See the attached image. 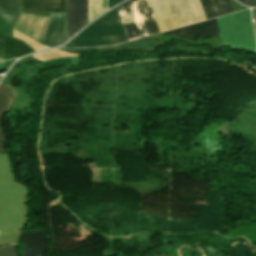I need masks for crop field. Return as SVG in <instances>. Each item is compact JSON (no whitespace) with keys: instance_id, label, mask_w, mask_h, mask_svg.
<instances>
[{"instance_id":"8a807250","label":"crop field","mask_w":256,"mask_h":256,"mask_svg":"<svg viewBox=\"0 0 256 256\" xmlns=\"http://www.w3.org/2000/svg\"><path fill=\"white\" fill-rule=\"evenodd\" d=\"M127 41L117 9L101 16L63 47H89Z\"/></svg>"},{"instance_id":"ac0d7876","label":"crop field","mask_w":256,"mask_h":256,"mask_svg":"<svg viewBox=\"0 0 256 256\" xmlns=\"http://www.w3.org/2000/svg\"><path fill=\"white\" fill-rule=\"evenodd\" d=\"M166 29L205 20L199 0H156ZM155 0H150L159 31H165Z\"/></svg>"},{"instance_id":"34b2d1b8","label":"crop field","mask_w":256,"mask_h":256,"mask_svg":"<svg viewBox=\"0 0 256 256\" xmlns=\"http://www.w3.org/2000/svg\"><path fill=\"white\" fill-rule=\"evenodd\" d=\"M217 20L222 45L256 53L249 9L218 17Z\"/></svg>"},{"instance_id":"412701ff","label":"crop field","mask_w":256,"mask_h":256,"mask_svg":"<svg viewBox=\"0 0 256 256\" xmlns=\"http://www.w3.org/2000/svg\"><path fill=\"white\" fill-rule=\"evenodd\" d=\"M117 9L128 39L159 32L148 0H130Z\"/></svg>"},{"instance_id":"f4fd0767","label":"crop field","mask_w":256,"mask_h":256,"mask_svg":"<svg viewBox=\"0 0 256 256\" xmlns=\"http://www.w3.org/2000/svg\"><path fill=\"white\" fill-rule=\"evenodd\" d=\"M48 19L49 17L29 15L20 12L14 29L29 36L40 44L46 32Z\"/></svg>"},{"instance_id":"dd49c442","label":"crop field","mask_w":256,"mask_h":256,"mask_svg":"<svg viewBox=\"0 0 256 256\" xmlns=\"http://www.w3.org/2000/svg\"><path fill=\"white\" fill-rule=\"evenodd\" d=\"M68 39L65 29V14L51 13L46 35L42 45L53 47Z\"/></svg>"},{"instance_id":"e52e79f7","label":"crop field","mask_w":256,"mask_h":256,"mask_svg":"<svg viewBox=\"0 0 256 256\" xmlns=\"http://www.w3.org/2000/svg\"><path fill=\"white\" fill-rule=\"evenodd\" d=\"M87 24V0H67V29L69 36Z\"/></svg>"},{"instance_id":"d8731c3e","label":"crop field","mask_w":256,"mask_h":256,"mask_svg":"<svg viewBox=\"0 0 256 256\" xmlns=\"http://www.w3.org/2000/svg\"><path fill=\"white\" fill-rule=\"evenodd\" d=\"M161 34L162 36L175 34L179 37H184L192 41H195V36L198 35H219L216 18L175 30L162 32Z\"/></svg>"},{"instance_id":"5a996713","label":"crop field","mask_w":256,"mask_h":256,"mask_svg":"<svg viewBox=\"0 0 256 256\" xmlns=\"http://www.w3.org/2000/svg\"><path fill=\"white\" fill-rule=\"evenodd\" d=\"M206 18H213L234 12L230 0H200Z\"/></svg>"},{"instance_id":"3316defc","label":"crop field","mask_w":256,"mask_h":256,"mask_svg":"<svg viewBox=\"0 0 256 256\" xmlns=\"http://www.w3.org/2000/svg\"><path fill=\"white\" fill-rule=\"evenodd\" d=\"M66 0H23L21 7L46 11V12H64Z\"/></svg>"},{"instance_id":"28ad6ade","label":"crop field","mask_w":256,"mask_h":256,"mask_svg":"<svg viewBox=\"0 0 256 256\" xmlns=\"http://www.w3.org/2000/svg\"><path fill=\"white\" fill-rule=\"evenodd\" d=\"M21 0H0V17L13 27L19 13Z\"/></svg>"},{"instance_id":"d1516ede","label":"crop field","mask_w":256,"mask_h":256,"mask_svg":"<svg viewBox=\"0 0 256 256\" xmlns=\"http://www.w3.org/2000/svg\"><path fill=\"white\" fill-rule=\"evenodd\" d=\"M15 98V91L12 87L0 84V115L9 110ZM4 137L0 128V153H4L2 143Z\"/></svg>"},{"instance_id":"22f410ed","label":"crop field","mask_w":256,"mask_h":256,"mask_svg":"<svg viewBox=\"0 0 256 256\" xmlns=\"http://www.w3.org/2000/svg\"><path fill=\"white\" fill-rule=\"evenodd\" d=\"M152 37L153 36L143 38V40L152 38ZM98 49L102 51H113V50H122V49H132V50L146 49V50L154 51L155 46L152 38L144 41L140 39V40H136V41H132V42L116 45V46L102 47Z\"/></svg>"},{"instance_id":"cbeb9de0","label":"crop field","mask_w":256,"mask_h":256,"mask_svg":"<svg viewBox=\"0 0 256 256\" xmlns=\"http://www.w3.org/2000/svg\"><path fill=\"white\" fill-rule=\"evenodd\" d=\"M105 10H107V0H88V22Z\"/></svg>"},{"instance_id":"5142ce71","label":"crop field","mask_w":256,"mask_h":256,"mask_svg":"<svg viewBox=\"0 0 256 256\" xmlns=\"http://www.w3.org/2000/svg\"><path fill=\"white\" fill-rule=\"evenodd\" d=\"M74 52L78 55H82L84 54L85 52L87 51H90V50H98L97 48H92V49H73Z\"/></svg>"},{"instance_id":"d9b57169","label":"crop field","mask_w":256,"mask_h":256,"mask_svg":"<svg viewBox=\"0 0 256 256\" xmlns=\"http://www.w3.org/2000/svg\"><path fill=\"white\" fill-rule=\"evenodd\" d=\"M239 1L246 5L256 6V0H239Z\"/></svg>"},{"instance_id":"733c2abd","label":"crop field","mask_w":256,"mask_h":256,"mask_svg":"<svg viewBox=\"0 0 256 256\" xmlns=\"http://www.w3.org/2000/svg\"><path fill=\"white\" fill-rule=\"evenodd\" d=\"M4 60V55H3V39L0 38V61Z\"/></svg>"},{"instance_id":"4a817a6b","label":"crop field","mask_w":256,"mask_h":256,"mask_svg":"<svg viewBox=\"0 0 256 256\" xmlns=\"http://www.w3.org/2000/svg\"><path fill=\"white\" fill-rule=\"evenodd\" d=\"M121 1H123V0H108V8L118 4Z\"/></svg>"},{"instance_id":"bc2a9ffb","label":"crop field","mask_w":256,"mask_h":256,"mask_svg":"<svg viewBox=\"0 0 256 256\" xmlns=\"http://www.w3.org/2000/svg\"><path fill=\"white\" fill-rule=\"evenodd\" d=\"M5 62H0V68L4 67Z\"/></svg>"}]
</instances>
